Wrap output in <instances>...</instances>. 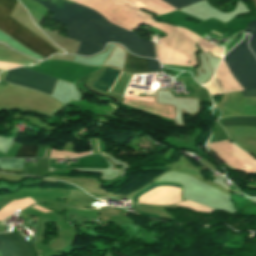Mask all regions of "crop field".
I'll return each instance as SVG.
<instances>
[{"label":"crop field","mask_w":256,"mask_h":256,"mask_svg":"<svg viewBox=\"0 0 256 256\" xmlns=\"http://www.w3.org/2000/svg\"><path fill=\"white\" fill-rule=\"evenodd\" d=\"M21 234V233H20ZM18 233L0 235L2 256H35L32 247Z\"/></svg>","instance_id":"5"},{"label":"crop field","mask_w":256,"mask_h":256,"mask_svg":"<svg viewBox=\"0 0 256 256\" xmlns=\"http://www.w3.org/2000/svg\"><path fill=\"white\" fill-rule=\"evenodd\" d=\"M149 69H160V64L154 59H148ZM150 71H160V70H150Z\"/></svg>","instance_id":"13"},{"label":"crop field","mask_w":256,"mask_h":256,"mask_svg":"<svg viewBox=\"0 0 256 256\" xmlns=\"http://www.w3.org/2000/svg\"><path fill=\"white\" fill-rule=\"evenodd\" d=\"M12 201H8V200H1L0 201V210L2 208H4L5 206H7L9 203H11ZM35 202H33L30 198H25V199H20L17 201H13L11 204H9L7 207H5L4 209H2L0 211V221H2L5 217H8L10 215H12L11 213L19 210V209H24L25 207L34 204Z\"/></svg>","instance_id":"7"},{"label":"crop field","mask_w":256,"mask_h":256,"mask_svg":"<svg viewBox=\"0 0 256 256\" xmlns=\"http://www.w3.org/2000/svg\"><path fill=\"white\" fill-rule=\"evenodd\" d=\"M54 15L52 20L67 26L68 37L81 42L76 54L92 55L102 51L106 42H118L132 53L155 58L154 43L149 42L134 31L129 32L109 23L100 14L67 0H46L69 9L59 7L43 0H34ZM179 9L200 0H163ZM51 19V18H50ZM128 50V51H129ZM158 57V50L156 45ZM159 58V57H158Z\"/></svg>","instance_id":"1"},{"label":"crop field","mask_w":256,"mask_h":256,"mask_svg":"<svg viewBox=\"0 0 256 256\" xmlns=\"http://www.w3.org/2000/svg\"><path fill=\"white\" fill-rule=\"evenodd\" d=\"M95 141H96L97 151H98V153H99L97 140L95 139Z\"/></svg>","instance_id":"16"},{"label":"crop field","mask_w":256,"mask_h":256,"mask_svg":"<svg viewBox=\"0 0 256 256\" xmlns=\"http://www.w3.org/2000/svg\"><path fill=\"white\" fill-rule=\"evenodd\" d=\"M256 22V20L248 23L247 27L245 28V32L247 30V28L249 27L250 24ZM244 32V33H245ZM247 32H249L251 34V38H250V41H249V44H250V48L251 50L254 52L255 56H256V23L250 25L249 29L247 30ZM246 32V33H247Z\"/></svg>","instance_id":"11"},{"label":"crop field","mask_w":256,"mask_h":256,"mask_svg":"<svg viewBox=\"0 0 256 256\" xmlns=\"http://www.w3.org/2000/svg\"><path fill=\"white\" fill-rule=\"evenodd\" d=\"M4 70V69H3Z\"/></svg>","instance_id":"18"},{"label":"crop field","mask_w":256,"mask_h":256,"mask_svg":"<svg viewBox=\"0 0 256 256\" xmlns=\"http://www.w3.org/2000/svg\"><path fill=\"white\" fill-rule=\"evenodd\" d=\"M39 146L34 145H23L21 144L19 150L17 151L15 157H30L35 158Z\"/></svg>","instance_id":"10"},{"label":"crop field","mask_w":256,"mask_h":256,"mask_svg":"<svg viewBox=\"0 0 256 256\" xmlns=\"http://www.w3.org/2000/svg\"><path fill=\"white\" fill-rule=\"evenodd\" d=\"M4 81L30 87L51 95L57 79L20 67L10 70Z\"/></svg>","instance_id":"4"},{"label":"crop field","mask_w":256,"mask_h":256,"mask_svg":"<svg viewBox=\"0 0 256 256\" xmlns=\"http://www.w3.org/2000/svg\"><path fill=\"white\" fill-rule=\"evenodd\" d=\"M16 2H17L16 0H0V3L7 6L10 9L14 8ZM2 4H0V29L1 30L8 33L19 43L29 47L36 53L46 58L51 54L57 52L48 44H46L44 41H42L40 38H38L33 33L28 31L26 28L21 26L12 18H10L9 16L12 10L8 9Z\"/></svg>","instance_id":"2"},{"label":"crop field","mask_w":256,"mask_h":256,"mask_svg":"<svg viewBox=\"0 0 256 256\" xmlns=\"http://www.w3.org/2000/svg\"><path fill=\"white\" fill-rule=\"evenodd\" d=\"M120 72L106 67L102 75L94 82L90 83L89 86L96 87L108 92Z\"/></svg>","instance_id":"8"},{"label":"crop field","mask_w":256,"mask_h":256,"mask_svg":"<svg viewBox=\"0 0 256 256\" xmlns=\"http://www.w3.org/2000/svg\"><path fill=\"white\" fill-rule=\"evenodd\" d=\"M124 72L132 74H146L148 71L147 59L138 58L127 53Z\"/></svg>","instance_id":"6"},{"label":"crop field","mask_w":256,"mask_h":256,"mask_svg":"<svg viewBox=\"0 0 256 256\" xmlns=\"http://www.w3.org/2000/svg\"><path fill=\"white\" fill-rule=\"evenodd\" d=\"M154 190V189H153ZM152 191V190H151ZM150 192V191H149ZM147 194V193H146ZM145 195V194H144Z\"/></svg>","instance_id":"17"},{"label":"crop field","mask_w":256,"mask_h":256,"mask_svg":"<svg viewBox=\"0 0 256 256\" xmlns=\"http://www.w3.org/2000/svg\"><path fill=\"white\" fill-rule=\"evenodd\" d=\"M243 95H256V89H251L247 91H242Z\"/></svg>","instance_id":"14"},{"label":"crop field","mask_w":256,"mask_h":256,"mask_svg":"<svg viewBox=\"0 0 256 256\" xmlns=\"http://www.w3.org/2000/svg\"><path fill=\"white\" fill-rule=\"evenodd\" d=\"M23 159L0 160V168H22Z\"/></svg>","instance_id":"12"},{"label":"crop field","mask_w":256,"mask_h":256,"mask_svg":"<svg viewBox=\"0 0 256 256\" xmlns=\"http://www.w3.org/2000/svg\"><path fill=\"white\" fill-rule=\"evenodd\" d=\"M248 37L249 35H245V38L223 58L243 89L256 87V58L248 49Z\"/></svg>","instance_id":"3"},{"label":"crop field","mask_w":256,"mask_h":256,"mask_svg":"<svg viewBox=\"0 0 256 256\" xmlns=\"http://www.w3.org/2000/svg\"><path fill=\"white\" fill-rule=\"evenodd\" d=\"M32 208L37 209V210H40V211H42V212H49V211H47V210L42 209L41 207H39V206H37V205L33 206Z\"/></svg>","instance_id":"15"},{"label":"crop field","mask_w":256,"mask_h":256,"mask_svg":"<svg viewBox=\"0 0 256 256\" xmlns=\"http://www.w3.org/2000/svg\"><path fill=\"white\" fill-rule=\"evenodd\" d=\"M222 126H256V117H238L222 122Z\"/></svg>","instance_id":"9"}]
</instances>
